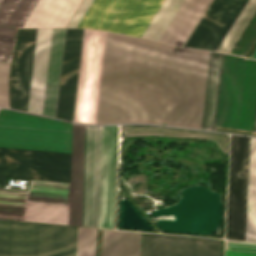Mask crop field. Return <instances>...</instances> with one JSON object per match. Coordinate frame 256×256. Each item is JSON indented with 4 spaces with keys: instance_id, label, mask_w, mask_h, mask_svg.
<instances>
[{
    "instance_id": "8a807250",
    "label": "crop field",
    "mask_w": 256,
    "mask_h": 256,
    "mask_svg": "<svg viewBox=\"0 0 256 256\" xmlns=\"http://www.w3.org/2000/svg\"><path fill=\"white\" fill-rule=\"evenodd\" d=\"M208 56L107 33L96 123L200 128Z\"/></svg>"
},
{
    "instance_id": "ac0d7876",
    "label": "crop field",
    "mask_w": 256,
    "mask_h": 256,
    "mask_svg": "<svg viewBox=\"0 0 256 256\" xmlns=\"http://www.w3.org/2000/svg\"><path fill=\"white\" fill-rule=\"evenodd\" d=\"M96 236L78 227L76 252L75 227L0 220V256H95Z\"/></svg>"
},
{
    "instance_id": "34b2d1b8",
    "label": "crop field",
    "mask_w": 256,
    "mask_h": 256,
    "mask_svg": "<svg viewBox=\"0 0 256 256\" xmlns=\"http://www.w3.org/2000/svg\"><path fill=\"white\" fill-rule=\"evenodd\" d=\"M251 138L231 135L226 239L245 240ZM246 240L256 241V138H252Z\"/></svg>"
},
{
    "instance_id": "412701ff",
    "label": "crop field",
    "mask_w": 256,
    "mask_h": 256,
    "mask_svg": "<svg viewBox=\"0 0 256 256\" xmlns=\"http://www.w3.org/2000/svg\"><path fill=\"white\" fill-rule=\"evenodd\" d=\"M165 0H105L89 28L142 37ZM184 0H166L143 35L158 41Z\"/></svg>"
},
{
    "instance_id": "f4fd0767",
    "label": "crop field",
    "mask_w": 256,
    "mask_h": 256,
    "mask_svg": "<svg viewBox=\"0 0 256 256\" xmlns=\"http://www.w3.org/2000/svg\"><path fill=\"white\" fill-rule=\"evenodd\" d=\"M255 104L256 61L226 54L217 127L252 131Z\"/></svg>"
},
{
    "instance_id": "dd49c442",
    "label": "crop field",
    "mask_w": 256,
    "mask_h": 256,
    "mask_svg": "<svg viewBox=\"0 0 256 256\" xmlns=\"http://www.w3.org/2000/svg\"><path fill=\"white\" fill-rule=\"evenodd\" d=\"M70 184L31 180L27 192L0 191V218L69 225Z\"/></svg>"
},
{
    "instance_id": "e52e79f7",
    "label": "crop field",
    "mask_w": 256,
    "mask_h": 256,
    "mask_svg": "<svg viewBox=\"0 0 256 256\" xmlns=\"http://www.w3.org/2000/svg\"><path fill=\"white\" fill-rule=\"evenodd\" d=\"M140 235L103 230L101 256H139ZM194 247L192 237L143 233L142 256H194ZM220 251L221 240L196 238L195 256H220Z\"/></svg>"
},
{
    "instance_id": "d8731c3e",
    "label": "crop field",
    "mask_w": 256,
    "mask_h": 256,
    "mask_svg": "<svg viewBox=\"0 0 256 256\" xmlns=\"http://www.w3.org/2000/svg\"><path fill=\"white\" fill-rule=\"evenodd\" d=\"M72 124L0 110V147L71 153Z\"/></svg>"
},
{
    "instance_id": "5a996713",
    "label": "crop field",
    "mask_w": 256,
    "mask_h": 256,
    "mask_svg": "<svg viewBox=\"0 0 256 256\" xmlns=\"http://www.w3.org/2000/svg\"><path fill=\"white\" fill-rule=\"evenodd\" d=\"M71 154L0 148V186L6 177L70 183Z\"/></svg>"
},
{
    "instance_id": "3316defc",
    "label": "crop field",
    "mask_w": 256,
    "mask_h": 256,
    "mask_svg": "<svg viewBox=\"0 0 256 256\" xmlns=\"http://www.w3.org/2000/svg\"><path fill=\"white\" fill-rule=\"evenodd\" d=\"M106 32L84 30L73 121L95 124Z\"/></svg>"
},
{
    "instance_id": "28ad6ade",
    "label": "crop field",
    "mask_w": 256,
    "mask_h": 256,
    "mask_svg": "<svg viewBox=\"0 0 256 256\" xmlns=\"http://www.w3.org/2000/svg\"><path fill=\"white\" fill-rule=\"evenodd\" d=\"M248 0H213L183 47L216 51Z\"/></svg>"
},
{
    "instance_id": "d1516ede",
    "label": "crop field",
    "mask_w": 256,
    "mask_h": 256,
    "mask_svg": "<svg viewBox=\"0 0 256 256\" xmlns=\"http://www.w3.org/2000/svg\"><path fill=\"white\" fill-rule=\"evenodd\" d=\"M101 127L85 126L82 226L98 227Z\"/></svg>"
},
{
    "instance_id": "22f410ed",
    "label": "crop field",
    "mask_w": 256,
    "mask_h": 256,
    "mask_svg": "<svg viewBox=\"0 0 256 256\" xmlns=\"http://www.w3.org/2000/svg\"><path fill=\"white\" fill-rule=\"evenodd\" d=\"M37 29H19L10 73V108L27 111Z\"/></svg>"
},
{
    "instance_id": "cbeb9de0",
    "label": "crop field",
    "mask_w": 256,
    "mask_h": 256,
    "mask_svg": "<svg viewBox=\"0 0 256 256\" xmlns=\"http://www.w3.org/2000/svg\"><path fill=\"white\" fill-rule=\"evenodd\" d=\"M83 30L67 29L56 118L73 117Z\"/></svg>"
},
{
    "instance_id": "5142ce71",
    "label": "crop field",
    "mask_w": 256,
    "mask_h": 256,
    "mask_svg": "<svg viewBox=\"0 0 256 256\" xmlns=\"http://www.w3.org/2000/svg\"><path fill=\"white\" fill-rule=\"evenodd\" d=\"M116 126L102 127L99 227L113 229Z\"/></svg>"
},
{
    "instance_id": "d9b57169",
    "label": "crop field",
    "mask_w": 256,
    "mask_h": 256,
    "mask_svg": "<svg viewBox=\"0 0 256 256\" xmlns=\"http://www.w3.org/2000/svg\"><path fill=\"white\" fill-rule=\"evenodd\" d=\"M211 2L212 0H185L159 42L183 46Z\"/></svg>"
},
{
    "instance_id": "733c2abd",
    "label": "crop field",
    "mask_w": 256,
    "mask_h": 256,
    "mask_svg": "<svg viewBox=\"0 0 256 256\" xmlns=\"http://www.w3.org/2000/svg\"><path fill=\"white\" fill-rule=\"evenodd\" d=\"M256 7V0H249L241 14L231 27L230 31L217 49L218 52L227 53L230 46L238 36L239 32L247 22ZM256 41V9L249 18L248 22L240 32L239 36L231 46L228 53L246 57L251 47Z\"/></svg>"
},
{
    "instance_id": "4a817a6b",
    "label": "crop field",
    "mask_w": 256,
    "mask_h": 256,
    "mask_svg": "<svg viewBox=\"0 0 256 256\" xmlns=\"http://www.w3.org/2000/svg\"><path fill=\"white\" fill-rule=\"evenodd\" d=\"M66 29H52L42 115L55 118Z\"/></svg>"
},
{
    "instance_id": "bc2a9ffb",
    "label": "crop field",
    "mask_w": 256,
    "mask_h": 256,
    "mask_svg": "<svg viewBox=\"0 0 256 256\" xmlns=\"http://www.w3.org/2000/svg\"><path fill=\"white\" fill-rule=\"evenodd\" d=\"M81 0H39L22 27H64Z\"/></svg>"
},
{
    "instance_id": "214f88e0",
    "label": "crop field",
    "mask_w": 256,
    "mask_h": 256,
    "mask_svg": "<svg viewBox=\"0 0 256 256\" xmlns=\"http://www.w3.org/2000/svg\"><path fill=\"white\" fill-rule=\"evenodd\" d=\"M51 29H38L28 111L41 115Z\"/></svg>"
},
{
    "instance_id": "92a150f3",
    "label": "crop field",
    "mask_w": 256,
    "mask_h": 256,
    "mask_svg": "<svg viewBox=\"0 0 256 256\" xmlns=\"http://www.w3.org/2000/svg\"><path fill=\"white\" fill-rule=\"evenodd\" d=\"M84 126L73 124L70 225L81 226Z\"/></svg>"
},
{
    "instance_id": "dafd665d",
    "label": "crop field",
    "mask_w": 256,
    "mask_h": 256,
    "mask_svg": "<svg viewBox=\"0 0 256 256\" xmlns=\"http://www.w3.org/2000/svg\"><path fill=\"white\" fill-rule=\"evenodd\" d=\"M224 57L210 52L201 129L215 130Z\"/></svg>"
},
{
    "instance_id": "00972430",
    "label": "crop field",
    "mask_w": 256,
    "mask_h": 256,
    "mask_svg": "<svg viewBox=\"0 0 256 256\" xmlns=\"http://www.w3.org/2000/svg\"><path fill=\"white\" fill-rule=\"evenodd\" d=\"M124 136L164 135L174 137L205 138L214 140L223 153H227L228 136L218 133L162 128L156 126H122Z\"/></svg>"
},
{
    "instance_id": "a9b5d70f",
    "label": "crop field",
    "mask_w": 256,
    "mask_h": 256,
    "mask_svg": "<svg viewBox=\"0 0 256 256\" xmlns=\"http://www.w3.org/2000/svg\"><path fill=\"white\" fill-rule=\"evenodd\" d=\"M38 0H0V25L21 27Z\"/></svg>"
},
{
    "instance_id": "4177f3b9",
    "label": "crop field",
    "mask_w": 256,
    "mask_h": 256,
    "mask_svg": "<svg viewBox=\"0 0 256 256\" xmlns=\"http://www.w3.org/2000/svg\"><path fill=\"white\" fill-rule=\"evenodd\" d=\"M15 28L0 26V60L10 62L13 43L16 36Z\"/></svg>"
},
{
    "instance_id": "730fd06b",
    "label": "crop field",
    "mask_w": 256,
    "mask_h": 256,
    "mask_svg": "<svg viewBox=\"0 0 256 256\" xmlns=\"http://www.w3.org/2000/svg\"><path fill=\"white\" fill-rule=\"evenodd\" d=\"M225 256H256V243L226 241Z\"/></svg>"
},
{
    "instance_id": "eef30255",
    "label": "crop field",
    "mask_w": 256,
    "mask_h": 256,
    "mask_svg": "<svg viewBox=\"0 0 256 256\" xmlns=\"http://www.w3.org/2000/svg\"><path fill=\"white\" fill-rule=\"evenodd\" d=\"M10 64L0 62V106L8 108V73Z\"/></svg>"
},
{
    "instance_id": "ae1a2a85",
    "label": "crop field",
    "mask_w": 256,
    "mask_h": 256,
    "mask_svg": "<svg viewBox=\"0 0 256 256\" xmlns=\"http://www.w3.org/2000/svg\"><path fill=\"white\" fill-rule=\"evenodd\" d=\"M103 2H104V0H94L92 5L90 6L89 10L87 11L85 16L81 20L80 24L78 25V27L88 28L89 24L93 20L94 16L98 12V10L101 7Z\"/></svg>"
},
{
    "instance_id": "d3111659",
    "label": "crop field",
    "mask_w": 256,
    "mask_h": 256,
    "mask_svg": "<svg viewBox=\"0 0 256 256\" xmlns=\"http://www.w3.org/2000/svg\"><path fill=\"white\" fill-rule=\"evenodd\" d=\"M92 2L93 0H84L77 12L72 17L67 27H77Z\"/></svg>"
}]
</instances>
